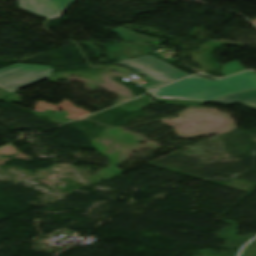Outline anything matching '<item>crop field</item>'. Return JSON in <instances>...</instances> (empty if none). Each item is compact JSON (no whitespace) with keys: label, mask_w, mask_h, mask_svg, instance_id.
Listing matches in <instances>:
<instances>
[{"label":"crop field","mask_w":256,"mask_h":256,"mask_svg":"<svg viewBox=\"0 0 256 256\" xmlns=\"http://www.w3.org/2000/svg\"><path fill=\"white\" fill-rule=\"evenodd\" d=\"M251 88H256V74L246 72L215 81L194 76L154 90L150 94L156 98L210 102L227 94Z\"/></svg>","instance_id":"8a807250"},{"label":"crop field","mask_w":256,"mask_h":256,"mask_svg":"<svg viewBox=\"0 0 256 256\" xmlns=\"http://www.w3.org/2000/svg\"><path fill=\"white\" fill-rule=\"evenodd\" d=\"M125 58L141 56L150 53V47L136 44V43H124L122 44ZM113 52H115V60H118V56L120 59H124L121 51L120 44H114V50L109 49V59L113 60Z\"/></svg>","instance_id":"f4fd0767"},{"label":"crop field","mask_w":256,"mask_h":256,"mask_svg":"<svg viewBox=\"0 0 256 256\" xmlns=\"http://www.w3.org/2000/svg\"><path fill=\"white\" fill-rule=\"evenodd\" d=\"M224 68L222 71H220L224 76L245 70L244 67H242L237 61H231L229 63H226L222 65Z\"/></svg>","instance_id":"d8731c3e"},{"label":"crop field","mask_w":256,"mask_h":256,"mask_svg":"<svg viewBox=\"0 0 256 256\" xmlns=\"http://www.w3.org/2000/svg\"><path fill=\"white\" fill-rule=\"evenodd\" d=\"M112 63L126 66L155 81L156 83L146 86V88L149 89H154L158 86L189 75L153 57L152 55L135 57Z\"/></svg>","instance_id":"ac0d7876"},{"label":"crop field","mask_w":256,"mask_h":256,"mask_svg":"<svg viewBox=\"0 0 256 256\" xmlns=\"http://www.w3.org/2000/svg\"><path fill=\"white\" fill-rule=\"evenodd\" d=\"M51 66L15 64L0 69V87L14 92L51 76Z\"/></svg>","instance_id":"34b2d1b8"},{"label":"crop field","mask_w":256,"mask_h":256,"mask_svg":"<svg viewBox=\"0 0 256 256\" xmlns=\"http://www.w3.org/2000/svg\"><path fill=\"white\" fill-rule=\"evenodd\" d=\"M21 9L48 19L59 17L75 0H18Z\"/></svg>","instance_id":"412701ff"},{"label":"crop field","mask_w":256,"mask_h":256,"mask_svg":"<svg viewBox=\"0 0 256 256\" xmlns=\"http://www.w3.org/2000/svg\"><path fill=\"white\" fill-rule=\"evenodd\" d=\"M114 32L117 33L120 37H122L126 41L137 42V43H141L149 46H151L150 45L151 43H153V46H158L162 44L164 41H166L165 39L140 35L132 30H129L123 27H120L114 30ZM145 42H148L149 44H146Z\"/></svg>","instance_id":"e52e79f7"},{"label":"crop field","mask_w":256,"mask_h":256,"mask_svg":"<svg viewBox=\"0 0 256 256\" xmlns=\"http://www.w3.org/2000/svg\"><path fill=\"white\" fill-rule=\"evenodd\" d=\"M213 102L225 105H229L231 103H238L250 109L256 110V90L232 94L228 97Z\"/></svg>","instance_id":"dd49c442"}]
</instances>
